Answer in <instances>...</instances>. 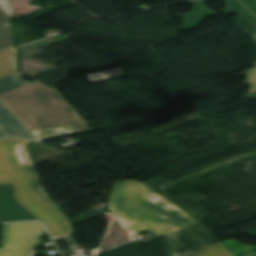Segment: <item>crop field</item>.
<instances>
[{
	"mask_svg": "<svg viewBox=\"0 0 256 256\" xmlns=\"http://www.w3.org/2000/svg\"><path fill=\"white\" fill-rule=\"evenodd\" d=\"M0 102L29 131L70 123L78 134L88 132L60 93L39 81L0 95Z\"/></svg>",
	"mask_w": 256,
	"mask_h": 256,
	"instance_id": "ac0d7876",
	"label": "crop field"
},
{
	"mask_svg": "<svg viewBox=\"0 0 256 256\" xmlns=\"http://www.w3.org/2000/svg\"><path fill=\"white\" fill-rule=\"evenodd\" d=\"M38 220L15 200L12 184H0V222Z\"/></svg>",
	"mask_w": 256,
	"mask_h": 256,
	"instance_id": "dd49c442",
	"label": "crop field"
},
{
	"mask_svg": "<svg viewBox=\"0 0 256 256\" xmlns=\"http://www.w3.org/2000/svg\"><path fill=\"white\" fill-rule=\"evenodd\" d=\"M235 25L242 31L248 33L251 36V40L256 44V27L249 20L240 14Z\"/></svg>",
	"mask_w": 256,
	"mask_h": 256,
	"instance_id": "d9b57169",
	"label": "crop field"
},
{
	"mask_svg": "<svg viewBox=\"0 0 256 256\" xmlns=\"http://www.w3.org/2000/svg\"><path fill=\"white\" fill-rule=\"evenodd\" d=\"M1 250V249H0Z\"/></svg>",
	"mask_w": 256,
	"mask_h": 256,
	"instance_id": "730fd06b",
	"label": "crop field"
},
{
	"mask_svg": "<svg viewBox=\"0 0 256 256\" xmlns=\"http://www.w3.org/2000/svg\"><path fill=\"white\" fill-rule=\"evenodd\" d=\"M83 125L86 127V129H87L89 132L92 131V130L90 129L91 127L89 128V126H88L86 123H84Z\"/></svg>",
	"mask_w": 256,
	"mask_h": 256,
	"instance_id": "4177f3b9",
	"label": "crop field"
},
{
	"mask_svg": "<svg viewBox=\"0 0 256 256\" xmlns=\"http://www.w3.org/2000/svg\"><path fill=\"white\" fill-rule=\"evenodd\" d=\"M43 197L44 199L51 205L53 206V204L50 202V200L47 198V196L44 194V192L41 189L37 190ZM54 207V206H53Z\"/></svg>",
	"mask_w": 256,
	"mask_h": 256,
	"instance_id": "00972430",
	"label": "crop field"
},
{
	"mask_svg": "<svg viewBox=\"0 0 256 256\" xmlns=\"http://www.w3.org/2000/svg\"><path fill=\"white\" fill-rule=\"evenodd\" d=\"M243 97L255 99L256 98V92L248 94V95H244Z\"/></svg>",
	"mask_w": 256,
	"mask_h": 256,
	"instance_id": "a9b5d70f",
	"label": "crop field"
},
{
	"mask_svg": "<svg viewBox=\"0 0 256 256\" xmlns=\"http://www.w3.org/2000/svg\"><path fill=\"white\" fill-rule=\"evenodd\" d=\"M123 75H124V73L122 72L121 68H117V69H113V70L90 74L87 76L89 77L90 80L93 79L91 81H92V83H94V82H98V81H102V80H106V79H110V78H115V77H119V76H123ZM94 77H95V79H94Z\"/></svg>",
	"mask_w": 256,
	"mask_h": 256,
	"instance_id": "5142ce71",
	"label": "crop field"
},
{
	"mask_svg": "<svg viewBox=\"0 0 256 256\" xmlns=\"http://www.w3.org/2000/svg\"><path fill=\"white\" fill-rule=\"evenodd\" d=\"M11 16L0 7V50L12 46V35L6 23Z\"/></svg>",
	"mask_w": 256,
	"mask_h": 256,
	"instance_id": "28ad6ade",
	"label": "crop field"
},
{
	"mask_svg": "<svg viewBox=\"0 0 256 256\" xmlns=\"http://www.w3.org/2000/svg\"><path fill=\"white\" fill-rule=\"evenodd\" d=\"M187 256H232L220 243Z\"/></svg>",
	"mask_w": 256,
	"mask_h": 256,
	"instance_id": "cbeb9de0",
	"label": "crop field"
},
{
	"mask_svg": "<svg viewBox=\"0 0 256 256\" xmlns=\"http://www.w3.org/2000/svg\"><path fill=\"white\" fill-rule=\"evenodd\" d=\"M149 194L138 181L118 182L109 198L110 211L136 225L125 230L135 234L152 232L164 235L197 223L187 213L166 208L147 200Z\"/></svg>",
	"mask_w": 256,
	"mask_h": 256,
	"instance_id": "34b2d1b8",
	"label": "crop field"
},
{
	"mask_svg": "<svg viewBox=\"0 0 256 256\" xmlns=\"http://www.w3.org/2000/svg\"><path fill=\"white\" fill-rule=\"evenodd\" d=\"M245 7L256 15V0H239Z\"/></svg>",
	"mask_w": 256,
	"mask_h": 256,
	"instance_id": "214f88e0",
	"label": "crop field"
},
{
	"mask_svg": "<svg viewBox=\"0 0 256 256\" xmlns=\"http://www.w3.org/2000/svg\"><path fill=\"white\" fill-rule=\"evenodd\" d=\"M113 215H114V216L116 217V219L120 222V224L123 226L124 229L127 228V227H129V226H131V225H134L133 223H130V222H127V221H125V220H123V219H121V218H118L117 215L114 214V213H113Z\"/></svg>",
	"mask_w": 256,
	"mask_h": 256,
	"instance_id": "dafd665d",
	"label": "crop field"
},
{
	"mask_svg": "<svg viewBox=\"0 0 256 256\" xmlns=\"http://www.w3.org/2000/svg\"><path fill=\"white\" fill-rule=\"evenodd\" d=\"M256 66V62L254 63ZM247 75V81H244V83L250 85L249 93L256 91V68L249 69L248 72H246Z\"/></svg>",
	"mask_w": 256,
	"mask_h": 256,
	"instance_id": "733c2abd",
	"label": "crop field"
},
{
	"mask_svg": "<svg viewBox=\"0 0 256 256\" xmlns=\"http://www.w3.org/2000/svg\"><path fill=\"white\" fill-rule=\"evenodd\" d=\"M146 190L149 192V196H148V199L155 202V203H158V204H161V205H164V206H167V207H173V208H176L175 206H173L171 203H169L168 201H166L164 198L152 193L151 191H149L147 188ZM178 209V208H177Z\"/></svg>",
	"mask_w": 256,
	"mask_h": 256,
	"instance_id": "4a817a6b",
	"label": "crop field"
},
{
	"mask_svg": "<svg viewBox=\"0 0 256 256\" xmlns=\"http://www.w3.org/2000/svg\"><path fill=\"white\" fill-rule=\"evenodd\" d=\"M0 6L12 13L13 7L10 0H0Z\"/></svg>",
	"mask_w": 256,
	"mask_h": 256,
	"instance_id": "92a150f3",
	"label": "crop field"
},
{
	"mask_svg": "<svg viewBox=\"0 0 256 256\" xmlns=\"http://www.w3.org/2000/svg\"><path fill=\"white\" fill-rule=\"evenodd\" d=\"M44 231V234H40ZM3 250L0 256H34L40 244L39 235L47 234L37 222L2 224Z\"/></svg>",
	"mask_w": 256,
	"mask_h": 256,
	"instance_id": "412701ff",
	"label": "crop field"
},
{
	"mask_svg": "<svg viewBox=\"0 0 256 256\" xmlns=\"http://www.w3.org/2000/svg\"><path fill=\"white\" fill-rule=\"evenodd\" d=\"M17 156L23 164H31L24 145H18Z\"/></svg>",
	"mask_w": 256,
	"mask_h": 256,
	"instance_id": "bc2a9ffb",
	"label": "crop field"
},
{
	"mask_svg": "<svg viewBox=\"0 0 256 256\" xmlns=\"http://www.w3.org/2000/svg\"><path fill=\"white\" fill-rule=\"evenodd\" d=\"M16 53V49H8L0 52V78L17 73Z\"/></svg>",
	"mask_w": 256,
	"mask_h": 256,
	"instance_id": "5a996713",
	"label": "crop field"
},
{
	"mask_svg": "<svg viewBox=\"0 0 256 256\" xmlns=\"http://www.w3.org/2000/svg\"><path fill=\"white\" fill-rule=\"evenodd\" d=\"M205 1L207 0H197L190 2L192 5L195 6L192 9L193 13L183 14L185 19L181 20V22H183L185 25L179 26L178 29L186 30L197 27L200 21H202L205 17L216 16V14L212 10L203 5Z\"/></svg>",
	"mask_w": 256,
	"mask_h": 256,
	"instance_id": "d8731c3e",
	"label": "crop field"
},
{
	"mask_svg": "<svg viewBox=\"0 0 256 256\" xmlns=\"http://www.w3.org/2000/svg\"><path fill=\"white\" fill-rule=\"evenodd\" d=\"M20 137L36 140L35 137L0 103V138Z\"/></svg>",
	"mask_w": 256,
	"mask_h": 256,
	"instance_id": "e52e79f7",
	"label": "crop field"
},
{
	"mask_svg": "<svg viewBox=\"0 0 256 256\" xmlns=\"http://www.w3.org/2000/svg\"><path fill=\"white\" fill-rule=\"evenodd\" d=\"M226 4V8L221 12L225 14H229L232 12H236L238 14L242 13L246 18H248L255 26H256V17L253 16L247 9H245L238 0H224Z\"/></svg>",
	"mask_w": 256,
	"mask_h": 256,
	"instance_id": "22f410ed",
	"label": "crop field"
},
{
	"mask_svg": "<svg viewBox=\"0 0 256 256\" xmlns=\"http://www.w3.org/2000/svg\"><path fill=\"white\" fill-rule=\"evenodd\" d=\"M20 76H23L20 73L10 75L4 78L0 79V94L7 92L9 90L15 89L17 87L23 86L25 84H28L24 80L20 78Z\"/></svg>",
	"mask_w": 256,
	"mask_h": 256,
	"instance_id": "d1516ede",
	"label": "crop field"
},
{
	"mask_svg": "<svg viewBox=\"0 0 256 256\" xmlns=\"http://www.w3.org/2000/svg\"><path fill=\"white\" fill-rule=\"evenodd\" d=\"M186 228H188L205 247L218 243L217 239L211 233L207 232L199 223ZM175 244H179V246ZM162 247L166 256H184L203 248L185 228L165 235L162 239Z\"/></svg>",
	"mask_w": 256,
	"mask_h": 256,
	"instance_id": "f4fd0767",
	"label": "crop field"
},
{
	"mask_svg": "<svg viewBox=\"0 0 256 256\" xmlns=\"http://www.w3.org/2000/svg\"><path fill=\"white\" fill-rule=\"evenodd\" d=\"M64 131L66 134L62 135L60 132ZM39 140L49 139L52 137L65 136L77 134L70 124L62 125L59 128L50 127L32 132Z\"/></svg>",
	"mask_w": 256,
	"mask_h": 256,
	"instance_id": "3316defc",
	"label": "crop field"
},
{
	"mask_svg": "<svg viewBox=\"0 0 256 256\" xmlns=\"http://www.w3.org/2000/svg\"><path fill=\"white\" fill-rule=\"evenodd\" d=\"M28 142L19 139L0 140V183L14 184L16 200L46 225L54 240L63 237L69 248L76 247L71 235L74 232L67 219L35 190L41 186L32 166L23 165L16 156L17 145Z\"/></svg>",
	"mask_w": 256,
	"mask_h": 256,
	"instance_id": "8a807250",
	"label": "crop field"
}]
</instances>
